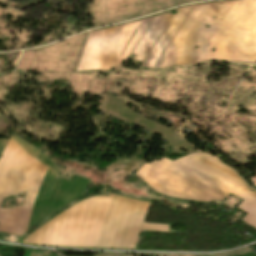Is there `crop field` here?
<instances>
[{"label": "crop field", "instance_id": "obj_3", "mask_svg": "<svg viewBox=\"0 0 256 256\" xmlns=\"http://www.w3.org/2000/svg\"><path fill=\"white\" fill-rule=\"evenodd\" d=\"M34 163L7 142L0 156V232L22 236L28 229L47 175ZM24 191L22 206L1 209L2 198Z\"/></svg>", "mask_w": 256, "mask_h": 256}, {"label": "crop field", "instance_id": "obj_1", "mask_svg": "<svg viewBox=\"0 0 256 256\" xmlns=\"http://www.w3.org/2000/svg\"><path fill=\"white\" fill-rule=\"evenodd\" d=\"M148 205L112 194L86 199L34 231L22 243L134 249L140 229L168 231L167 225L142 223Z\"/></svg>", "mask_w": 256, "mask_h": 256}, {"label": "crop field", "instance_id": "obj_2", "mask_svg": "<svg viewBox=\"0 0 256 256\" xmlns=\"http://www.w3.org/2000/svg\"><path fill=\"white\" fill-rule=\"evenodd\" d=\"M135 174L172 197L208 202L224 200L231 193L244 200L238 206L249 213L243 221L256 229V193L248 190L230 168L205 154H191L174 162L163 158L145 163Z\"/></svg>", "mask_w": 256, "mask_h": 256}, {"label": "crop field", "instance_id": "obj_4", "mask_svg": "<svg viewBox=\"0 0 256 256\" xmlns=\"http://www.w3.org/2000/svg\"><path fill=\"white\" fill-rule=\"evenodd\" d=\"M52 253V252H51ZM44 256H55V255H53V254H50V255H44Z\"/></svg>", "mask_w": 256, "mask_h": 256}]
</instances>
